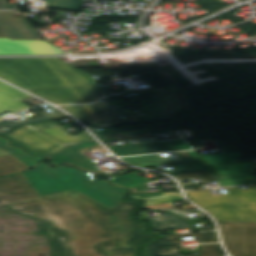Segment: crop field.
<instances>
[{
  "mask_svg": "<svg viewBox=\"0 0 256 256\" xmlns=\"http://www.w3.org/2000/svg\"><path fill=\"white\" fill-rule=\"evenodd\" d=\"M134 203L125 200L110 210L72 190L11 207L36 217L53 236V256H136L140 241L152 235L131 221Z\"/></svg>",
  "mask_w": 256,
  "mask_h": 256,
  "instance_id": "obj_1",
  "label": "crop field"
},
{
  "mask_svg": "<svg viewBox=\"0 0 256 256\" xmlns=\"http://www.w3.org/2000/svg\"><path fill=\"white\" fill-rule=\"evenodd\" d=\"M0 78L23 89L97 85L59 57L0 58Z\"/></svg>",
  "mask_w": 256,
  "mask_h": 256,
  "instance_id": "obj_2",
  "label": "crop field"
},
{
  "mask_svg": "<svg viewBox=\"0 0 256 256\" xmlns=\"http://www.w3.org/2000/svg\"><path fill=\"white\" fill-rule=\"evenodd\" d=\"M23 174L42 197L74 189L110 209L122 202L127 192L109 185L106 180L95 181L92 175L66 166L51 168L41 163Z\"/></svg>",
  "mask_w": 256,
  "mask_h": 256,
  "instance_id": "obj_3",
  "label": "crop field"
},
{
  "mask_svg": "<svg viewBox=\"0 0 256 256\" xmlns=\"http://www.w3.org/2000/svg\"><path fill=\"white\" fill-rule=\"evenodd\" d=\"M226 189V195H213L210 191L185 193L191 201L203 207L217 221L256 222V185L245 189Z\"/></svg>",
  "mask_w": 256,
  "mask_h": 256,
  "instance_id": "obj_4",
  "label": "crop field"
},
{
  "mask_svg": "<svg viewBox=\"0 0 256 256\" xmlns=\"http://www.w3.org/2000/svg\"><path fill=\"white\" fill-rule=\"evenodd\" d=\"M178 166L180 168L169 170L167 173L207 170L219 187L256 183V169L253 163L244 162L242 159L202 161Z\"/></svg>",
  "mask_w": 256,
  "mask_h": 256,
  "instance_id": "obj_5",
  "label": "crop field"
},
{
  "mask_svg": "<svg viewBox=\"0 0 256 256\" xmlns=\"http://www.w3.org/2000/svg\"><path fill=\"white\" fill-rule=\"evenodd\" d=\"M226 248L232 256H256V223H219Z\"/></svg>",
  "mask_w": 256,
  "mask_h": 256,
  "instance_id": "obj_6",
  "label": "crop field"
},
{
  "mask_svg": "<svg viewBox=\"0 0 256 256\" xmlns=\"http://www.w3.org/2000/svg\"><path fill=\"white\" fill-rule=\"evenodd\" d=\"M195 236L199 242L218 241L215 232L187 234L176 236H163L151 240L144 246V256H181L178 252V240L180 237ZM202 254L189 256H222L219 245H200Z\"/></svg>",
  "mask_w": 256,
  "mask_h": 256,
  "instance_id": "obj_7",
  "label": "crop field"
},
{
  "mask_svg": "<svg viewBox=\"0 0 256 256\" xmlns=\"http://www.w3.org/2000/svg\"><path fill=\"white\" fill-rule=\"evenodd\" d=\"M55 124L57 123L51 121L23 126L15 129L6 136L11 138L13 145H20L34 155L49 156L66 146L32 130L31 128Z\"/></svg>",
  "mask_w": 256,
  "mask_h": 256,
  "instance_id": "obj_8",
  "label": "crop field"
},
{
  "mask_svg": "<svg viewBox=\"0 0 256 256\" xmlns=\"http://www.w3.org/2000/svg\"><path fill=\"white\" fill-rule=\"evenodd\" d=\"M55 104L90 103L104 96L100 86L28 90Z\"/></svg>",
  "mask_w": 256,
  "mask_h": 256,
  "instance_id": "obj_9",
  "label": "crop field"
},
{
  "mask_svg": "<svg viewBox=\"0 0 256 256\" xmlns=\"http://www.w3.org/2000/svg\"><path fill=\"white\" fill-rule=\"evenodd\" d=\"M41 197L22 173L0 178V207Z\"/></svg>",
  "mask_w": 256,
  "mask_h": 256,
  "instance_id": "obj_10",
  "label": "crop field"
},
{
  "mask_svg": "<svg viewBox=\"0 0 256 256\" xmlns=\"http://www.w3.org/2000/svg\"><path fill=\"white\" fill-rule=\"evenodd\" d=\"M95 149L111 156L101 145H99L96 141H93L66 147L51 155L49 159L52 160L53 164L56 165L68 163L74 166L82 167L86 170L100 172L101 169L96 167L97 162L83 155Z\"/></svg>",
  "mask_w": 256,
  "mask_h": 256,
  "instance_id": "obj_11",
  "label": "crop field"
},
{
  "mask_svg": "<svg viewBox=\"0 0 256 256\" xmlns=\"http://www.w3.org/2000/svg\"><path fill=\"white\" fill-rule=\"evenodd\" d=\"M177 96L181 102L180 105L175 95L150 99L155 108L147 105L146 101L143 100L142 103L144 107L142 110L145 117L148 120H163L165 122L175 117L178 109L181 110V114L183 113V108L186 113L193 111L185 93L179 94ZM153 101H155V103H153ZM163 114H165L166 120H164Z\"/></svg>",
  "mask_w": 256,
  "mask_h": 256,
  "instance_id": "obj_12",
  "label": "crop field"
},
{
  "mask_svg": "<svg viewBox=\"0 0 256 256\" xmlns=\"http://www.w3.org/2000/svg\"><path fill=\"white\" fill-rule=\"evenodd\" d=\"M78 120L96 127L112 126L108 101L92 105L59 106Z\"/></svg>",
  "mask_w": 256,
  "mask_h": 256,
  "instance_id": "obj_13",
  "label": "crop field"
},
{
  "mask_svg": "<svg viewBox=\"0 0 256 256\" xmlns=\"http://www.w3.org/2000/svg\"><path fill=\"white\" fill-rule=\"evenodd\" d=\"M116 156L142 155L192 149L184 140L108 147Z\"/></svg>",
  "mask_w": 256,
  "mask_h": 256,
  "instance_id": "obj_14",
  "label": "crop field"
},
{
  "mask_svg": "<svg viewBox=\"0 0 256 256\" xmlns=\"http://www.w3.org/2000/svg\"><path fill=\"white\" fill-rule=\"evenodd\" d=\"M63 53L44 41H11L0 38V54Z\"/></svg>",
  "mask_w": 256,
  "mask_h": 256,
  "instance_id": "obj_15",
  "label": "crop field"
},
{
  "mask_svg": "<svg viewBox=\"0 0 256 256\" xmlns=\"http://www.w3.org/2000/svg\"><path fill=\"white\" fill-rule=\"evenodd\" d=\"M15 11L0 12L12 40H41L24 18H14Z\"/></svg>",
  "mask_w": 256,
  "mask_h": 256,
  "instance_id": "obj_16",
  "label": "crop field"
},
{
  "mask_svg": "<svg viewBox=\"0 0 256 256\" xmlns=\"http://www.w3.org/2000/svg\"><path fill=\"white\" fill-rule=\"evenodd\" d=\"M173 156L161 157L159 154L153 155H143L121 158L122 160L136 166H141L143 168L153 167L164 163L176 162H194L186 152L172 153Z\"/></svg>",
  "mask_w": 256,
  "mask_h": 256,
  "instance_id": "obj_17",
  "label": "crop field"
},
{
  "mask_svg": "<svg viewBox=\"0 0 256 256\" xmlns=\"http://www.w3.org/2000/svg\"><path fill=\"white\" fill-rule=\"evenodd\" d=\"M34 130L66 145V146L94 140L84 130L80 131L83 134L73 136L70 133L66 132L65 128L60 125L35 128Z\"/></svg>",
  "mask_w": 256,
  "mask_h": 256,
  "instance_id": "obj_18",
  "label": "crop field"
},
{
  "mask_svg": "<svg viewBox=\"0 0 256 256\" xmlns=\"http://www.w3.org/2000/svg\"><path fill=\"white\" fill-rule=\"evenodd\" d=\"M102 142L120 141V140H131L141 138L154 137L149 130L134 132V133H120L115 128L102 129V130H91Z\"/></svg>",
  "mask_w": 256,
  "mask_h": 256,
  "instance_id": "obj_19",
  "label": "crop field"
},
{
  "mask_svg": "<svg viewBox=\"0 0 256 256\" xmlns=\"http://www.w3.org/2000/svg\"><path fill=\"white\" fill-rule=\"evenodd\" d=\"M150 220L154 226L153 231L194 227L182 219L168 213L152 217Z\"/></svg>",
  "mask_w": 256,
  "mask_h": 256,
  "instance_id": "obj_20",
  "label": "crop field"
},
{
  "mask_svg": "<svg viewBox=\"0 0 256 256\" xmlns=\"http://www.w3.org/2000/svg\"><path fill=\"white\" fill-rule=\"evenodd\" d=\"M132 198L143 199L142 206L168 203L177 200H183L179 192L171 193H150V194H130Z\"/></svg>",
  "mask_w": 256,
  "mask_h": 256,
  "instance_id": "obj_21",
  "label": "crop field"
},
{
  "mask_svg": "<svg viewBox=\"0 0 256 256\" xmlns=\"http://www.w3.org/2000/svg\"><path fill=\"white\" fill-rule=\"evenodd\" d=\"M0 149L3 151L8 152L10 155L18 159L19 161L23 162L30 168L36 166L37 164L41 163L43 158L32 157L22 151L20 148H14L8 145L6 139L0 137Z\"/></svg>",
  "mask_w": 256,
  "mask_h": 256,
  "instance_id": "obj_22",
  "label": "crop field"
},
{
  "mask_svg": "<svg viewBox=\"0 0 256 256\" xmlns=\"http://www.w3.org/2000/svg\"><path fill=\"white\" fill-rule=\"evenodd\" d=\"M30 170L12 156L0 157V177Z\"/></svg>",
  "mask_w": 256,
  "mask_h": 256,
  "instance_id": "obj_23",
  "label": "crop field"
},
{
  "mask_svg": "<svg viewBox=\"0 0 256 256\" xmlns=\"http://www.w3.org/2000/svg\"><path fill=\"white\" fill-rule=\"evenodd\" d=\"M28 107L30 106L0 92V114L6 111L16 113Z\"/></svg>",
  "mask_w": 256,
  "mask_h": 256,
  "instance_id": "obj_24",
  "label": "crop field"
},
{
  "mask_svg": "<svg viewBox=\"0 0 256 256\" xmlns=\"http://www.w3.org/2000/svg\"><path fill=\"white\" fill-rule=\"evenodd\" d=\"M112 183L118 186L130 188L143 183L150 182V180L142 178L134 173H129L125 176L110 179Z\"/></svg>",
  "mask_w": 256,
  "mask_h": 256,
  "instance_id": "obj_25",
  "label": "crop field"
},
{
  "mask_svg": "<svg viewBox=\"0 0 256 256\" xmlns=\"http://www.w3.org/2000/svg\"><path fill=\"white\" fill-rule=\"evenodd\" d=\"M172 176L177 180L193 178V177H197L198 179L202 180V182L187 183V184H184L183 181H181L180 183L184 187L193 186L195 184L209 183L214 181L207 171H200V172H194V173H182V174H177Z\"/></svg>",
  "mask_w": 256,
  "mask_h": 256,
  "instance_id": "obj_26",
  "label": "crop field"
},
{
  "mask_svg": "<svg viewBox=\"0 0 256 256\" xmlns=\"http://www.w3.org/2000/svg\"><path fill=\"white\" fill-rule=\"evenodd\" d=\"M187 153L191 156V158L194 161L242 158L240 153L208 154V155H198L195 151H188Z\"/></svg>",
  "mask_w": 256,
  "mask_h": 256,
  "instance_id": "obj_27",
  "label": "crop field"
},
{
  "mask_svg": "<svg viewBox=\"0 0 256 256\" xmlns=\"http://www.w3.org/2000/svg\"><path fill=\"white\" fill-rule=\"evenodd\" d=\"M113 126L120 125L128 121L127 114L122 109L121 103H109Z\"/></svg>",
  "mask_w": 256,
  "mask_h": 256,
  "instance_id": "obj_28",
  "label": "crop field"
},
{
  "mask_svg": "<svg viewBox=\"0 0 256 256\" xmlns=\"http://www.w3.org/2000/svg\"><path fill=\"white\" fill-rule=\"evenodd\" d=\"M48 7L76 11L81 8L80 0H46Z\"/></svg>",
  "mask_w": 256,
  "mask_h": 256,
  "instance_id": "obj_29",
  "label": "crop field"
},
{
  "mask_svg": "<svg viewBox=\"0 0 256 256\" xmlns=\"http://www.w3.org/2000/svg\"><path fill=\"white\" fill-rule=\"evenodd\" d=\"M31 110H33V112L41 115V118L35 119V120L26 121V122H22V123H13V122H8L6 120H3V121L0 122V135H3V134H6V133L10 132L14 127H16L18 125L51 120L50 118H48L45 115H43L40 112H38L37 110H35L33 108ZM4 127H7L9 129L8 130L2 129Z\"/></svg>",
  "mask_w": 256,
  "mask_h": 256,
  "instance_id": "obj_30",
  "label": "crop field"
},
{
  "mask_svg": "<svg viewBox=\"0 0 256 256\" xmlns=\"http://www.w3.org/2000/svg\"><path fill=\"white\" fill-rule=\"evenodd\" d=\"M0 91L18 99V100H21L27 96H29L28 94L10 86V85H7L3 82L0 81ZM30 97V96H29Z\"/></svg>",
  "mask_w": 256,
  "mask_h": 256,
  "instance_id": "obj_31",
  "label": "crop field"
},
{
  "mask_svg": "<svg viewBox=\"0 0 256 256\" xmlns=\"http://www.w3.org/2000/svg\"><path fill=\"white\" fill-rule=\"evenodd\" d=\"M167 212L174 213V214H176V215H178V216H180V217H182L186 220H189V217H187L185 214H187L189 212H201V213H203L202 211H178V210H169Z\"/></svg>",
  "mask_w": 256,
  "mask_h": 256,
  "instance_id": "obj_32",
  "label": "crop field"
},
{
  "mask_svg": "<svg viewBox=\"0 0 256 256\" xmlns=\"http://www.w3.org/2000/svg\"><path fill=\"white\" fill-rule=\"evenodd\" d=\"M14 4H6V0H0V10H14Z\"/></svg>",
  "mask_w": 256,
  "mask_h": 256,
  "instance_id": "obj_33",
  "label": "crop field"
},
{
  "mask_svg": "<svg viewBox=\"0 0 256 256\" xmlns=\"http://www.w3.org/2000/svg\"><path fill=\"white\" fill-rule=\"evenodd\" d=\"M0 37H9L4 25H0Z\"/></svg>",
  "mask_w": 256,
  "mask_h": 256,
  "instance_id": "obj_34",
  "label": "crop field"
},
{
  "mask_svg": "<svg viewBox=\"0 0 256 256\" xmlns=\"http://www.w3.org/2000/svg\"><path fill=\"white\" fill-rule=\"evenodd\" d=\"M8 155V153L0 151V156Z\"/></svg>",
  "mask_w": 256,
  "mask_h": 256,
  "instance_id": "obj_35",
  "label": "crop field"
},
{
  "mask_svg": "<svg viewBox=\"0 0 256 256\" xmlns=\"http://www.w3.org/2000/svg\"><path fill=\"white\" fill-rule=\"evenodd\" d=\"M0 24H3L2 21H1V18H0Z\"/></svg>",
  "mask_w": 256,
  "mask_h": 256,
  "instance_id": "obj_36",
  "label": "crop field"
},
{
  "mask_svg": "<svg viewBox=\"0 0 256 256\" xmlns=\"http://www.w3.org/2000/svg\"><path fill=\"white\" fill-rule=\"evenodd\" d=\"M88 127V126H87ZM88 128H92V127H88Z\"/></svg>",
  "mask_w": 256,
  "mask_h": 256,
  "instance_id": "obj_37",
  "label": "crop field"
}]
</instances>
